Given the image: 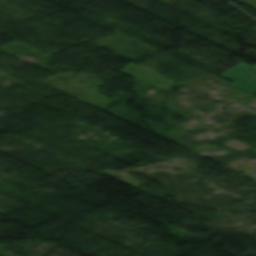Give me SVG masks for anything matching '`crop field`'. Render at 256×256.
I'll use <instances>...</instances> for the list:
<instances>
[{"label": "crop field", "mask_w": 256, "mask_h": 256, "mask_svg": "<svg viewBox=\"0 0 256 256\" xmlns=\"http://www.w3.org/2000/svg\"><path fill=\"white\" fill-rule=\"evenodd\" d=\"M221 75L234 82L233 85L256 94V76L250 72V68L246 64L241 63Z\"/></svg>", "instance_id": "1"}]
</instances>
